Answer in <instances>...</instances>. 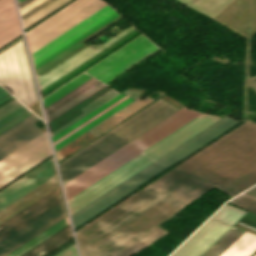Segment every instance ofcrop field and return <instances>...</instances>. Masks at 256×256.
Masks as SVG:
<instances>
[{"label": "crop field", "mask_w": 256, "mask_h": 256, "mask_svg": "<svg viewBox=\"0 0 256 256\" xmlns=\"http://www.w3.org/2000/svg\"><path fill=\"white\" fill-rule=\"evenodd\" d=\"M225 117L210 125L209 127L204 129L197 135L193 136L180 146L176 147L163 157L159 158L158 160H156V162L170 167L194 152L195 150L199 149L206 143L210 142L217 136L221 135L231 127L238 124V122L229 120L230 118L227 119L228 117ZM168 167L161 166L155 163L150 164L149 166L142 169L132 177L128 178L127 180H125L115 188L111 189L98 199L94 200L81 210L71 215L73 226L76 227L77 225L81 224L82 222L92 217L99 211L103 210L110 204L114 203L115 201L122 198L129 192L133 191L140 185L144 184L151 178L155 177L162 171L166 170Z\"/></svg>", "instance_id": "6"}, {"label": "crop field", "mask_w": 256, "mask_h": 256, "mask_svg": "<svg viewBox=\"0 0 256 256\" xmlns=\"http://www.w3.org/2000/svg\"><path fill=\"white\" fill-rule=\"evenodd\" d=\"M56 256H78L75 244H72L67 249L57 254Z\"/></svg>", "instance_id": "24"}, {"label": "crop field", "mask_w": 256, "mask_h": 256, "mask_svg": "<svg viewBox=\"0 0 256 256\" xmlns=\"http://www.w3.org/2000/svg\"><path fill=\"white\" fill-rule=\"evenodd\" d=\"M218 119L220 118L205 114L200 115L120 168L88 187L80 194L67 200L70 214L81 209Z\"/></svg>", "instance_id": "7"}, {"label": "crop field", "mask_w": 256, "mask_h": 256, "mask_svg": "<svg viewBox=\"0 0 256 256\" xmlns=\"http://www.w3.org/2000/svg\"><path fill=\"white\" fill-rule=\"evenodd\" d=\"M0 84L26 106L37 101L22 40L0 54Z\"/></svg>", "instance_id": "11"}, {"label": "crop field", "mask_w": 256, "mask_h": 256, "mask_svg": "<svg viewBox=\"0 0 256 256\" xmlns=\"http://www.w3.org/2000/svg\"><path fill=\"white\" fill-rule=\"evenodd\" d=\"M9 96H11L8 92H6L1 86H0V102L5 100L6 98H8ZM2 103V102H1Z\"/></svg>", "instance_id": "25"}, {"label": "crop field", "mask_w": 256, "mask_h": 256, "mask_svg": "<svg viewBox=\"0 0 256 256\" xmlns=\"http://www.w3.org/2000/svg\"><path fill=\"white\" fill-rule=\"evenodd\" d=\"M20 3L23 0H17ZM69 0H25L18 4L23 27L31 25Z\"/></svg>", "instance_id": "16"}, {"label": "crop field", "mask_w": 256, "mask_h": 256, "mask_svg": "<svg viewBox=\"0 0 256 256\" xmlns=\"http://www.w3.org/2000/svg\"><path fill=\"white\" fill-rule=\"evenodd\" d=\"M137 32H139V30L132 25L95 50L86 43L78 47L68 55L36 74L40 93L43 94L51 89Z\"/></svg>", "instance_id": "10"}, {"label": "crop field", "mask_w": 256, "mask_h": 256, "mask_svg": "<svg viewBox=\"0 0 256 256\" xmlns=\"http://www.w3.org/2000/svg\"><path fill=\"white\" fill-rule=\"evenodd\" d=\"M245 214L246 212L225 204L214 214L213 218L233 225Z\"/></svg>", "instance_id": "22"}, {"label": "crop field", "mask_w": 256, "mask_h": 256, "mask_svg": "<svg viewBox=\"0 0 256 256\" xmlns=\"http://www.w3.org/2000/svg\"><path fill=\"white\" fill-rule=\"evenodd\" d=\"M103 0H77L39 26L26 33L33 52L100 6ZM123 18L107 4L103 5L33 53L35 73L82 45L93 36Z\"/></svg>", "instance_id": "3"}, {"label": "crop field", "mask_w": 256, "mask_h": 256, "mask_svg": "<svg viewBox=\"0 0 256 256\" xmlns=\"http://www.w3.org/2000/svg\"><path fill=\"white\" fill-rule=\"evenodd\" d=\"M33 114L16 100L0 110V134ZM34 114L0 135V159L41 131ZM49 157L44 134L0 160V188Z\"/></svg>", "instance_id": "4"}, {"label": "crop field", "mask_w": 256, "mask_h": 256, "mask_svg": "<svg viewBox=\"0 0 256 256\" xmlns=\"http://www.w3.org/2000/svg\"><path fill=\"white\" fill-rule=\"evenodd\" d=\"M244 231L232 227L202 256H219L230 246ZM256 251V235L245 232L220 256H251Z\"/></svg>", "instance_id": "15"}, {"label": "crop field", "mask_w": 256, "mask_h": 256, "mask_svg": "<svg viewBox=\"0 0 256 256\" xmlns=\"http://www.w3.org/2000/svg\"><path fill=\"white\" fill-rule=\"evenodd\" d=\"M200 114L201 113L186 107L182 108L141 136L137 137L124 147L120 148L107 158L103 159L90 169L63 185L66 199L74 196L84 188L99 180L109 172L135 157Z\"/></svg>", "instance_id": "8"}, {"label": "crop field", "mask_w": 256, "mask_h": 256, "mask_svg": "<svg viewBox=\"0 0 256 256\" xmlns=\"http://www.w3.org/2000/svg\"><path fill=\"white\" fill-rule=\"evenodd\" d=\"M256 184V123L245 122L76 232L82 256H131L167 231L156 225L213 187Z\"/></svg>", "instance_id": "1"}, {"label": "crop field", "mask_w": 256, "mask_h": 256, "mask_svg": "<svg viewBox=\"0 0 256 256\" xmlns=\"http://www.w3.org/2000/svg\"><path fill=\"white\" fill-rule=\"evenodd\" d=\"M158 49L143 34L140 35L42 98L43 107L46 108L94 76L108 83ZM95 77L44 109L51 136L118 94Z\"/></svg>", "instance_id": "2"}, {"label": "crop field", "mask_w": 256, "mask_h": 256, "mask_svg": "<svg viewBox=\"0 0 256 256\" xmlns=\"http://www.w3.org/2000/svg\"><path fill=\"white\" fill-rule=\"evenodd\" d=\"M71 238H73V236L70 225H67L22 256H44Z\"/></svg>", "instance_id": "18"}, {"label": "crop field", "mask_w": 256, "mask_h": 256, "mask_svg": "<svg viewBox=\"0 0 256 256\" xmlns=\"http://www.w3.org/2000/svg\"><path fill=\"white\" fill-rule=\"evenodd\" d=\"M21 39H23V38H20L19 40H21ZM19 40H17L16 42H18ZM16 42H14V43H16ZM14 43H12L11 45H13ZM11 45H9L8 47H10ZM8 47H6L5 49H7ZM5 49H3L2 51H4ZM2 51H0V52H2Z\"/></svg>", "instance_id": "27"}, {"label": "crop field", "mask_w": 256, "mask_h": 256, "mask_svg": "<svg viewBox=\"0 0 256 256\" xmlns=\"http://www.w3.org/2000/svg\"><path fill=\"white\" fill-rule=\"evenodd\" d=\"M65 216L63 194L60 193L0 232V256H6Z\"/></svg>", "instance_id": "9"}, {"label": "crop field", "mask_w": 256, "mask_h": 256, "mask_svg": "<svg viewBox=\"0 0 256 256\" xmlns=\"http://www.w3.org/2000/svg\"><path fill=\"white\" fill-rule=\"evenodd\" d=\"M230 203L256 213V200L241 195Z\"/></svg>", "instance_id": "23"}, {"label": "crop field", "mask_w": 256, "mask_h": 256, "mask_svg": "<svg viewBox=\"0 0 256 256\" xmlns=\"http://www.w3.org/2000/svg\"><path fill=\"white\" fill-rule=\"evenodd\" d=\"M67 224H69L68 217H65L64 219L54 224L53 226H51L50 228H48L47 230H45L44 232H42L32 240L28 241L27 243H25L24 245H22L21 247H19L18 249H16L15 251H13L7 256L22 255L23 253H25L26 251H28L29 249H31L32 247H34L35 245H37L38 243H40L41 241L49 237L50 235L54 234L55 232H57Z\"/></svg>", "instance_id": "20"}, {"label": "crop field", "mask_w": 256, "mask_h": 256, "mask_svg": "<svg viewBox=\"0 0 256 256\" xmlns=\"http://www.w3.org/2000/svg\"><path fill=\"white\" fill-rule=\"evenodd\" d=\"M231 226L209 219L170 256H201Z\"/></svg>", "instance_id": "14"}, {"label": "crop field", "mask_w": 256, "mask_h": 256, "mask_svg": "<svg viewBox=\"0 0 256 256\" xmlns=\"http://www.w3.org/2000/svg\"><path fill=\"white\" fill-rule=\"evenodd\" d=\"M179 109L157 100L95 142L58 164L65 184Z\"/></svg>", "instance_id": "5"}, {"label": "crop field", "mask_w": 256, "mask_h": 256, "mask_svg": "<svg viewBox=\"0 0 256 256\" xmlns=\"http://www.w3.org/2000/svg\"><path fill=\"white\" fill-rule=\"evenodd\" d=\"M22 34L13 0H0V47Z\"/></svg>", "instance_id": "17"}, {"label": "crop field", "mask_w": 256, "mask_h": 256, "mask_svg": "<svg viewBox=\"0 0 256 256\" xmlns=\"http://www.w3.org/2000/svg\"><path fill=\"white\" fill-rule=\"evenodd\" d=\"M180 1L211 18L231 0H180Z\"/></svg>", "instance_id": "19"}, {"label": "crop field", "mask_w": 256, "mask_h": 256, "mask_svg": "<svg viewBox=\"0 0 256 256\" xmlns=\"http://www.w3.org/2000/svg\"><path fill=\"white\" fill-rule=\"evenodd\" d=\"M60 192H62V190H61L60 187H58L57 189L53 190L52 192H50L49 194H47L43 198L39 199L38 201H36L32 205H30L29 207L25 208L24 210H22L21 212H19L15 216L11 217L10 219H8L7 221H5L4 223H2L0 225V231L3 230L4 228L8 227L12 223H14L15 221H17L21 217L25 216L26 214H28L29 212H31L32 210H34L38 206L42 205L43 203H45L46 201H48L52 197L56 196Z\"/></svg>", "instance_id": "21"}, {"label": "crop field", "mask_w": 256, "mask_h": 256, "mask_svg": "<svg viewBox=\"0 0 256 256\" xmlns=\"http://www.w3.org/2000/svg\"><path fill=\"white\" fill-rule=\"evenodd\" d=\"M244 194L251 196L253 198L256 199V186L253 187L252 189L248 190L247 192H245Z\"/></svg>", "instance_id": "26"}, {"label": "crop field", "mask_w": 256, "mask_h": 256, "mask_svg": "<svg viewBox=\"0 0 256 256\" xmlns=\"http://www.w3.org/2000/svg\"><path fill=\"white\" fill-rule=\"evenodd\" d=\"M55 175H57V171L54 160L51 159L25 177H21L22 179L18 180L0 192V210L21 198L28 192L32 191Z\"/></svg>", "instance_id": "13"}, {"label": "crop field", "mask_w": 256, "mask_h": 256, "mask_svg": "<svg viewBox=\"0 0 256 256\" xmlns=\"http://www.w3.org/2000/svg\"><path fill=\"white\" fill-rule=\"evenodd\" d=\"M130 102L132 101L128 100L124 96L120 94L116 95L103 105L99 106L71 126L52 137L54 149L57 150L58 148L62 147Z\"/></svg>", "instance_id": "12"}, {"label": "crop field", "mask_w": 256, "mask_h": 256, "mask_svg": "<svg viewBox=\"0 0 256 256\" xmlns=\"http://www.w3.org/2000/svg\"><path fill=\"white\" fill-rule=\"evenodd\" d=\"M254 256H256V254Z\"/></svg>", "instance_id": "28"}]
</instances>
